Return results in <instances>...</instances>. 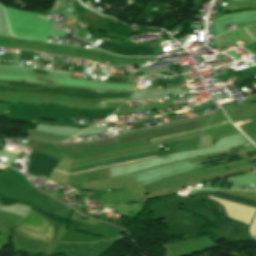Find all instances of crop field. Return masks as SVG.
Instances as JSON below:
<instances>
[{"label": "crop field", "instance_id": "1", "mask_svg": "<svg viewBox=\"0 0 256 256\" xmlns=\"http://www.w3.org/2000/svg\"><path fill=\"white\" fill-rule=\"evenodd\" d=\"M57 161V159L34 152L30 158L29 173L37 176L43 175L48 177L50 172L55 167Z\"/></svg>", "mask_w": 256, "mask_h": 256}, {"label": "crop field", "instance_id": "2", "mask_svg": "<svg viewBox=\"0 0 256 256\" xmlns=\"http://www.w3.org/2000/svg\"><path fill=\"white\" fill-rule=\"evenodd\" d=\"M154 155H156V150L129 156V157H124V158H120V159H116V160H111V161H107V162H103V163H99V164H94V165H90V166H86V167H82V168H78V169H74V170H72L71 174L86 171V170H91V169H95V168H100V167H104V166H109V165H113V164L123 163V162H127V161H132V160H136V159H141V158H145V157H150V156H154ZM154 157H156V156H154ZM150 158H153V157H150ZM145 159H148V158H145ZM136 161H138V160H136ZM132 162H134V161H132ZM127 163H130V162H127ZM123 164H126V163H123ZM118 165H120V164H118Z\"/></svg>", "mask_w": 256, "mask_h": 256}, {"label": "crop field", "instance_id": "3", "mask_svg": "<svg viewBox=\"0 0 256 256\" xmlns=\"http://www.w3.org/2000/svg\"><path fill=\"white\" fill-rule=\"evenodd\" d=\"M208 196H212V197H215L218 199H222V200L229 201V202H232L235 204H239V205L246 206V207H249L252 209H256V201L236 197V196L229 195V194H226L223 192L216 191Z\"/></svg>", "mask_w": 256, "mask_h": 256}, {"label": "crop field", "instance_id": "4", "mask_svg": "<svg viewBox=\"0 0 256 256\" xmlns=\"http://www.w3.org/2000/svg\"><path fill=\"white\" fill-rule=\"evenodd\" d=\"M245 30V32L248 34V36L251 38L252 41H254V39L252 38V36L247 32V30L245 28H243Z\"/></svg>", "mask_w": 256, "mask_h": 256}, {"label": "crop field", "instance_id": "5", "mask_svg": "<svg viewBox=\"0 0 256 256\" xmlns=\"http://www.w3.org/2000/svg\"><path fill=\"white\" fill-rule=\"evenodd\" d=\"M112 101H125V100H112Z\"/></svg>", "mask_w": 256, "mask_h": 256}, {"label": "crop field", "instance_id": "6", "mask_svg": "<svg viewBox=\"0 0 256 256\" xmlns=\"http://www.w3.org/2000/svg\"><path fill=\"white\" fill-rule=\"evenodd\" d=\"M216 127V126H215Z\"/></svg>", "mask_w": 256, "mask_h": 256}]
</instances>
